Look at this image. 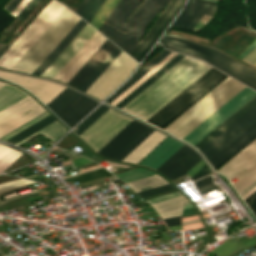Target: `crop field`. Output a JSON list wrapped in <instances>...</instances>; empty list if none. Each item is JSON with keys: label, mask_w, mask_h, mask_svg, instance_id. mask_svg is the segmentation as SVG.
<instances>
[{"label": "crop field", "mask_w": 256, "mask_h": 256, "mask_svg": "<svg viewBox=\"0 0 256 256\" xmlns=\"http://www.w3.org/2000/svg\"><path fill=\"white\" fill-rule=\"evenodd\" d=\"M211 67L185 56L122 110L146 121Z\"/></svg>", "instance_id": "crop-field-1"}, {"label": "crop field", "mask_w": 256, "mask_h": 256, "mask_svg": "<svg viewBox=\"0 0 256 256\" xmlns=\"http://www.w3.org/2000/svg\"><path fill=\"white\" fill-rule=\"evenodd\" d=\"M140 1L121 0L98 30L128 54L138 43L148 24L169 2L143 0L136 13L124 24Z\"/></svg>", "instance_id": "crop-field-2"}, {"label": "crop field", "mask_w": 256, "mask_h": 256, "mask_svg": "<svg viewBox=\"0 0 256 256\" xmlns=\"http://www.w3.org/2000/svg\"><path fill=\"white\" fill-rule=\"evenodd\" d=\"M245 87L228 77L164 130L182 139Z\"/></svg>", "instance_id": "crop-field-3"}, {"label": "crop field", "mask_w": 256, "mask_h": 256, "mask_svg": "<svg viewBox=\"0 0 256 256\" xmlns=\"http://www.w3.org/2000/svg\"><path fill=\"white\" fill-rule=\"evenodd\" d=\"M163 47L203 60L256 90V73L210 47L171 34L160 41Z\"/></svg>", "instance_id": "crop-field-4"}, {"label": "crop field", "mask_w": 256, "mask_h": 256, "mask_svg": "<svg viewBox=\"0 0 256 256\" xmlns=\"http://www.w3.org/2000/svg\"><path fill=\"white\" fill-rule=\"evenodd\" d=\"M80 19L66 8L12 69L31 74Z\"/></svg>", "instance_id": "crop-field-5"}, {"label": "crop field", "mask_w": 256, "mask_h": 256, "mask_svg": "<svg viewBox=\"0 0 256 256\" xmlns=\"http://www.w3.org/2000/svg\"><path fill=\"white\" fill-rule=\"evenodd\" d=\"M226 76L212 67L147 122L162 128Z\"/></svg>", "instance_id": "crop-field-6"}, {"label": "crop field", "mask_w": 256, "mask_h": 256, "mask_svg": "<svg viewBox=\"0 0 256 256\" xmlns=\"http://www.w3.org/2000/svg\"><path fill=\"white\" fill-rule=\"evenodd\" d=\"M66 7L54 0L43 9L22 35L0 57V66L12 68Z\"/></svg>", "instance_id": "crop-field-7"}, {"label": "crop field", "mask_w": 256, "mask_h": 256, "mask_svg": "<svg viewBox=\"0 0 256 256\" xmlns=\"http://www.w3.org/2000/svg\"><path fill=\"white\" fill-rule=\"evenodd\" d=\"M98 104L94 100L66 87L46 106L72 127Z\"/></svg>", "instance_id": "crop-field-8"}, {"label": "crop field", "mask_w": 256, "mask_h": 256, "mask_svg": "<svg viewBox=\"0 0 256 256\" xmlns=\"http://www.w3.org/2000/svg\"><path fill=\"white\" fill-rule=\"evenodd\" d=\"M131 121L109 108L79 137L97 152Z\"/></svg>", "instance_id": "crop-field-9"}, {"label": "crop field", "mask_w": 256, "mask_h": 256, "mask_svg": "<svg viewBox=\"0 0 256 256\" xmlns=\"http://www.w3.org/2000/svg\"><path fill=\"white\" fill-rule=\"evenodd\" d=\"M136 65L137 62L122 51L85 93L103 100L126 79Z\"/></svg>", "instance_id": "crop-field-10"}, {"label": "crop field", "mask_w": 256, "mask_h": 256, "mask_svg": "<svg viewBox=\"0 0 256 256\" xmlns=\"http://www.w3.org/2000/svg\"><path fill=\"white\" fill-rule=\"evenodd\" d=\"M255 94V91L246 87L223 107L216 111L212 116L205 120L201 125L189 133L185 138H183V140L194 145L217 125L224 121L228 116L235 112L239 107L251 99Z\"/></svg>", "instance_id": "crop-field-11"}, {"label": "crop field", "mask_w": 256, "mask_h": 256, "mask_svg": "<svg viewBox=\"0 0 256 256\" xmlns=\"http://www.w3.org/2000/svg\"><path fill=\"white\" fill-rule=\"evenodd\" d=\"M183 3L184 0H170L168 6L151 26L148 33L136 45V47L131 51L129 55L132 56L138 62H140V60L148 51V49L153 45V43L157 40V38L160 36V34L163 32L166 26L170 23V21L180 10Z\"/></svg>", "instance_id": "crop-field-12"}, {"label": "crop field", "mask_w": 256, "mask_h": 256, "mask_svg": "<svg viewBox=\"0 0 256 256\" xmlns=\"http://www.w3.org/2000/svg\"><path fill=\"white\" fill-rule=\"evenodd\" d=\"M255 121L256 105L249 109L245 114L233 122L229 127H227L199 151L208 160Z\"/></svg>", "instance_id": "crop-field-13"}, {"label": "crop field", "mask_w": 256, "mask_h": 256, "mask_svg": "<svg viewBox=\"0 0 256 256\" xmlns=\"http://www.w3.org/2000/svg\"><path fill=\"white\" fill-rule=\"evenodd\" d=\"M0 77L15 82L37 96L45 105L65 87L56 83L28 76L0 71ZM61 93V92H60Z\"/></svg>", "instance_id": "crop-field-14"}, {"label": "crop field", "mask_w": 256, "mask_h": 256, "mask_svg": "<svg viewBox=\"0 0 256 256\" xmlns=\"http://www.w3.org/2000/svg\"><path fill=\"white\" fill-rule=\"evenodd\" d=\"M214 6L215 3L212 2L189 0L185 10L176 19L173 26L191 29L206 12L213 14ZM208 13H206L200 20L207 22L212 17V14ZM203 24L205 23L198 21L192 29L197 30Z\"/></svg>", "instance_id": "crop-field-15"}, {"label": "crop field", "mask_w": 256, "mask_h": 256, "mask_svg": "<svg viewBox=\"0 0 256 256\" xmlns=\"http://www.w3.org/2000/svg\"><path fill=\"white\" fill-rule=\"evenodd\" d=\"M199 160L200 157L197 155V153L184 145L161 167H159L157 171L161 172L169 179H173L185 174Z\"/></svg>", "instance_id": "crop-field-16"}, {"label": "crop field", "mask_w": 256, "mask_h": 256, "mask_svg": "<svg viewBox=\"0 0 256 256\" xmlns=\"http://www.w3.org/2000/svg\"><path fill=\"white\" fill-rule=\"evenodd\" d=\"M254 166H256V140L217 170V172L224 174L230 181L234 177L241 178Z\"/></svg>", "instance_id": "crop-field-17"}, {"label": "crop field", "mask_w": 256, "mask_h": 256, "mask_svg": "<svg viewBox=\"0 0 256 256\" xmlns=\"http://www.w3.org/2000/svg\"><path fill=\"white\" fill-rule=\"evenodd\" d=\"M146 128L147 126L133 120L97 153L114 159Z\"/></svg>", "instance_id": "crop-field-18"}, {"label": "crop field", "mask_w": 256, "mask_h": 256, "mask_svg": "<svg viewBox=\"0 0 256 256\" xmlns=\"http://www.w3.org/2000/svg\"><path fill=\"white\" fill-rule=\"evenodd\" d=\"M95 31L87 24L41 76L53 79Z\"/></svg>", "instance_id": "crop-field-19"}, {"label": "crop field", "mask_w": 256, "mask_h": 256, "mask_svg": "<svg viewBox=\"0 0 256 256\" xmlns=\"http://www.w3.org/2000/svg\"><path fill=\"white\" fill-rule=\"evenodd\" d=\"M115 47L116 46L107 39L67 84L79 89Z\"/></svg>", "instance_id": "crop-field-20"}, {"label": "crop field", "mask_w": 256, "mask_h": 256, "mask_svg": "<svg viewBox=\"0 0 256 256\" xmlns=\"http://www.w3.org/2000/svg\"><path fill=\"white\" fill-rule=\"evenodd\" d=\"M256 137V122L252 124L248 129L236 137L232 142L220 150L208 161L213 166L214 170L218 168L222 163L229 159L233 154L240 150L244 145Z\"/></svg>", "instance_id": "crop-field-21"}, {"label": "crop field", "mask_w": 256, "mask_h": 256, "mask_svg": "<svg viewBox=\"0 0 256 256\" xmlns=\"http://www.w3.org/2000/svg\"><path fill=\"white\" fill-rule=\"evenodd\" d=\"M184 144L168 137L139 164L157 169Z\"/></svg>", "instance_id": "crop-field-22"}, {"label": "crop field", "mask_w": 256, "mask_h": 256, "mask_svg": "<svg viewBox=\"0 0 256 256\" xmlns=\"http://www.w3.org/2000/svg\"><path fill=\"white\" fill-rule=\"evenodd\" d=\"M165 137H166V135H164V134L155 130L151 135H149L139 146H137L122 161L137 164L143 157H145Z\"/></svg>", "instance_id": "crop-field-23"}, {"label": "crop field", "mask_w": 256, "mask_h": 256, "mask_svg": "<svg viewBox=\"0 0 256 256\" xmlns=\"http://www.w3.org/2000/svg\"><path fill=\"white\" fill-rule=\"evenodd\" d=\"M86 24L87 23L81 19L77 23V25L67 34V36L57 45V47L46 57V59L36 68V70L32 74L40 76Z\"/></svg>", "instance_id": "crop-field-24"}, {"label": "crop field", "mask_w": 256, "mask_h": 256, "mask_svg": "<svg viewBox=\"0 0 256 256\" xmlns=\"http://www.w3.org/2000/svg\"><path fill=\"white\" fill-rule=\"evenodd\" d=\"M31 97V96H30ZM29 96L0 112V127L39 105Z\"/></svg>", "instance_id": "crop-field-25"}, {"label": "crop field", "mask_w": 256, "mask_h": 256, "mask_svg": "<svg viewBox=\"0 0 256 256\" xmlns=\"http://www.w3.org/2000/svg\"><path fill=\"white\" fill-rule=\"evenodd\" d=\"M188 202L183 196L152 204L161 218L181 215L183 203Z\"/></svg>", "instance_id": "crop-field-26"}, {"label": "crop field", "mask_w": 256, "mask_h": 256, "mask_svg": "<svg viewBox=\"0 0 256 256\" xmlns=\"http://www.w3.org/2000/svg\"><path fill=\"white\" fill-rule=\"evenodd\" d=\"M106 39L107 38L100 34L97 39L88 47V49L80 56V58L72 65V67L63 75L60 81L67 83Z\"/></svg>", "instance_id": "crop-field-27"}, {"label": "crop field", "mask_w": 256, "mask_h": 256, "mask_svg": "<svg viewBox=\"0 0 256 256\" xmlns=\"http://www.w3.org/2000/svg\"><path fill=\"white\" fill-rule=\"evenodd\" d=\"M255 103H256V96L252 100H250L247 104H245L242 108H240L237 112H235L232 116H230L227 120H225L222 124H220L217 128H215L212 132H210L207 136H205L202 140H200L197 144H195L194 147L197 148L198 150L202 148L206 143H208L211 139H213L217 134H219L222 130H224L228 125H230L233 121H235L239 116H241L244 112H246Z\"/></svg>", "instance_id": "crop-field-28"}, {"label": "crop field", "mask_w": 256, "mask_h": 256, "mask_svg": "<svg viewBox=\"0 0 256 256\" xmlns=\"http://www.w3.org/2000/svg\"><path fill=\"white\" fill-rule=\"evenodd\" d=\"M184 55L178 54L171 61H169L165 66H163L159 71H157L153 76H151L147 81L140 85L136 90H134L130 95H128L124 100H122L116 107L122 108L128 102H130L134 97H136L140 92H142L146 87H148L152 82H154L158 77H160L164 72H166L170 67H172L176 62H178Z\"/></svg>", "instance_id": "crop-field-29"}, {"label": "crop field", "mask_w": 256, "mask_h": 256, "mask_svg": "<svg viewBox=\"0 0 256 256\" xmlns=\"http://www.w3.org/2000/svg\"><path fill=\"white\" fill-rule=\"evenodd\" d=\"M28 96L22 90L13 87L11 85H5L0 88V111L6 109L17 101L23 99Z\"/></svg>", "instance_id": "crop-field-30"}, {"label": "crop field", "mask_w": 256, "mask_h": 256, "mask_svg": "<svg viewBox=\"0 0 256 256\" xmlns=\"http://www.w3.org/2000/svg\"><path fill=\"white\" fill-rule=\"evenodd\" d=\"M43 112H45V110L40 105L35 107L34 109L30 110L29 112L0 128V137L11 132L12 130L16 129L17 127L28 122L29 120L33 119L34 117L40 115Z\"/></svg>", "instance_id": "crop-field-31"}, {"label": "crop field", "mask_w": 256, "mask_h": 256, "mask_svg": "<svg viewBox=\"0 0 256 256\" xmlns=\"http://www.w3.org/2000/svg\"><path fill=\"white\" fill-rule=\"evenodd\" d=\"M171 51L165 50L162 52L158 57H156L152 62H150L146 67H144L140 72H138L136 75L132 76L128 82L120 89L118 90L112 97H110L108 100H106L108 103L111 102L113 99H115L117 96H119L122 92H124L128 87H130L134 82H136L143 74H145L148 70H150L153 66H155L159 61H161L164 57H166Z\"/></svg>", "instance_id": "crop-field-32"}, {"label": "crop field", "mask_w": 256, "mask_h": 256, "mask_svg": "<svg viewBox=\"0 0 256 256\" xmlns=\"http://www.w3.org/2000/svg\"><path fill=\"white\" fill-rule=\"evenodd\" d=\"M56 121L51 115L44 118L43 120L35 123L34 125L28 127L27 129L21 131L20 133L12 136L11 138L7 139L6 141L11 142L13 144L21 141L22 139L28 137L29 135L35 133L36 131L42 129L43 127L49 125L50 123Z\"/></svg>", "instance_id": "crop-field-33"}, {"label": "crop field", "mask_w": 256, "mask_h": 256, "mask_svg": "<svg viewBox=\"0 0 256 256\" xmlns=\"http://www.w3.org/2000/svg\"><path fill=\"white\" fill-rule=\"evenodd\" d=\"M177 53L172 52L164 60H162L158 65H156L152 70H150L146 75L139 79L135 84H133L129 89H127L123 94H121L117 99H115L111 104L114 106L124 99L128 94H130L134 89H136L140 84H142L146 79L153 75L157 70H159L163 65H165L169 60H171Z\"/></svg>", "instance_id": "crop-field-34"}, {"label": "crop field", "mask_w": 256, "mask_h": 256, "mask_svg": "<svg viewBox=\"0 0 256 256\" xmlns=\"http://www.w3.org/2000/svg\"><path fill=\"white\" fill-rule=\"evenodd\" d=\"M167 183H168L167 181L155 175V176H151L148 178H144V179L133 181L126 184L129 185L133 190L138 192V191H142L145 189H149V188L160 186Z\"/></svg>", "instance_id": "crop-field-35"}, {"label": "crop field", "mask_w": 256, "mask_h": 256, "mask_svg": "<svg viewBox=\"0 0 256 256\" xmlns=\"http://www.w3.org/2000/svg\"><path fill=\"white\" fill-rule=\"evenodd\" d=\"M121 51L122 50L116 47L113 52L106 58V60L98 67V69L90 76V78L83 84V86L81 85L82 87L80 90L85 92Z\"/></svg>", "instance_id": "crop-field-36"}, {"label": "crop field", "mask_w": 256, "mask_h": 256, "mask_svg": "<svg viewBox=\"0 0 256 256\" xmlns=\"http://www.w3.org/2000/svg\"><path fill=\"white\" fill-rule=\"evenodd\" d=\"M17 151L3 145L0 146V173L21 155L20 151Z\"/></svg>", "instance_id": "crop-field-37"}, {"label": "crop field", "mask_w": 256, "mask_h": 256, "mask_svg": "<svg viewBox=\"0 0 256 256\" xmlns=\"http://www.w3.org/2000/svg\"><path fill=\"white\" fill-rule=\"evenodd\" d=\"M109 175H112V174L109 173L107 170L100 168V169H96V170H92V171H89L86 173L79 174V175L71 177V178L64 179V181L67 182V181L73 180V182L78 181L79 183H84V182H88V181L95 180V179L109 176Z\"/></svg>", "instance_id": "crop-field-38"}, {"label": "crop field", "mask_w": 256, "mask_h": 256, "mask_svg": "<svg viewBox=\"0 0 256 256\" xmlns=\"http://www.w3.org/2000/svg\"><path fill=\"white\" fill-rule=\"evenodd\" d=\"M66 130L56 121L49 126L43 128L42 130L36 132L35 134L29 136L28 138L22 140L21 142L17 143V145L25 142L26 140L30 139L31 137L41 133L53 140H56L58 137H60L63 133H65Z\"/></svg>", "instance_id": "crop-field-39"}, {"label": "crop field", "mask_w": 256, "mask_h": 256, "mask_svg": "<svg viewBox=\"0 0 256 256\" xmlns=\"http://www.w3.org/2000/svg\"><path fill=\"white\" fill-rule=\"evenodd\" d=\"M115 175L119 177L124 183H126V182H130L133 180H137V179L148 177L155 174L151 171L137 168L130 171L115 174Z\"/></svg>", "instance_id": "crop-field-40"}, {"label": "crop field", "mask_w": 256, "mask_h": 256, "mask_svg": "<svg viewBox=\"0 0 256 256\" xmlns=\"http://www.w3.org/2000/svg\"><path fill=\"white\" fill-rule=\"evenodd\" d=\"M105 1L106 0H90L79 16L89 23Z\"/></svg>", "instance_id": "crop-field-41"}, {"label": "crop field", "mask_w": 256, "mask_h": 256, "mask_svg": "<svg viewBox=\"0 0 256 256\" xmlns=\"http://www.w3.org/2000/svg\"><path fill=\"white\" fill-rule=\"evenodd\" d=\"M97 31L93 34V36L84 44V46L75 54V56L66 64V66L57 74L54 78L55 80H59L62 75L71 67V65L79 58V56L87 49V47L96 39L99 35Z\"/></svg>", "instance_id": "crop-field-42"}, {"label": "crop field", "mask_w": 256, "mask_h": 256, "mask_svg": "<svg viewBox=\"0 0 256 256\" xmlns=\"http://www.w3.org/2000/svg\"><path fill=\"white\" fill-rule=\"evenodd\" d=\"M154 130L147 128L140 136H138L123 152H121L115 160L121 161L125 156H127L137 145H139L149 134Z\"/></svg>", "instance_id": "crop-field-43"}, {"label": "crop field", "mask_w": 256, "mask_h": 256, "mask_svg": "<svg viewBox=\"0 0 256 256\" xmlns=\"http://www.w3.org/2000/svg\"><path fill=\"white\" fill-rule=\"evenodd\" d=\"M107 109H108V107H106L104 105H102L99 109H97L91 116H89L82 124H80L77 127V129L75 131L77 133V135L79 136L85 129H87Z\"/></svg>", "instance_id": "crop-field-44"}, {"label": "crop field", "mask_w": 256, "mask_h": 256, "mask_svg": "<svg viewBox=\"0 0 256 256\" xmlns=\"http://www.w3.org/2000/svg\"><path fill=\"white\" fill-rule=\"evenodd\" d=\"M255 180H256V167L252 171H250L247 175H245L242 179H240L233 186L239 194L245 188H247L251 183H253Z\"/></svg>", "instance_id": "crop-field-45"}, {"label": "crop field", "mask_w": 256, "mask_h": 256, "mask_svg": "<svg viewBox=\"0 0 256 256\" xmlns=\"http://www.w3.org/2000/svg\"><path fill=\"white\" fill-rule=\"evenodd\" d=\"M194 184L198 188L199 192H201V194L218 188L213 184L212 176H206L205 178L196 181Z\"/></svg>", "instance_id": "crop-field-46"}, {"label": "crop field", "mask_w": 256, "mask_h": 256, "mask_svg": "<svg viewBox=\"0 0 256 256\" xmlns=\"http://www.w3.org/2000/svg\"><path fill=\"white\" fill-rule=\"evenodd\" d=\"M171 189H174V188L171 185L167 184V185H163V186L156 187V188H153V189H149V190H145V191H142V192H138V194L142 198H144V197L151 196V195H154V194H157V193H161V192H164V191H167V190H171Z\"/></svg>", "instance_id": "crop-field-47"}, {"label": "crop field", "mask_w": 256, "mask_h": 256, "mask_svg": "<svg viewBox=\"0 0 256 256\" xmlns=\"http://www.w3.org/2000/svg\"><path fill=\"white\" fill-rule=\"evenodd\" d=\"M48 115H50V114H48L47 112L44 113V114H42V115H40L39 117L33 119L32 121L26 123L25 125L21 126L20 128H18V129H16V130H14L13 132L7 134L6 136L2 137L1 139L5 140V139L11 137L12 135H14V134L20 132L21 130L27 128L28 126L34 124L35 122H37V121L43 119L44 117H46V116H48Z\"/></svg>", "instance_id": "crop-field-48"}, {"label": "crop field", "mask_w": 256, "mask_h": 256, "mask_svg": "<svg viewBox=\"0 0 256 256\" xmlns=\"http://www.w3.org/2000/svg\"><path fill=\"white\" fill-rule=\"evenodd\" d=\"M30 183H34V182L24 180V179H20V180L8 182V183L0 184V192L3 191V190H6V189H10V188H13V187L26 185V184H30Z\"/></svg>", "instance_id": "crop-field-49"}, {"label": "crop field", "mask_w": 256, "mask_h": 256, "mask_svg": "<svg viewBox=\"0 0 256 256\" xmlns=\"http://www.w3.org/2000/svg\"><path fill=\"white\" fill-rule=\"evenodd\" d=\"M41 0H31L28 5L20 12L17 18L24 20L26 16L34 9V7L40 2Z\"/></svg>", "instance_id": "crop-field-50"}, {"label": "crop field", "mask_w": 256, "mask_h": 256, "mask_svg": "<svg viewBox=\"0 0 256 256\" xmlns=\"http://www.w3.org/2000/svg\"><path fill=\"white\" fill-rule=\"evenodd\" d=\"M113 1L114 0H107L89 24L94 27L95 24L98 22V20L101 18V16L104 14V12L108 9V7L111 5Z\"/></svg>", "instance_id": "crop-field-51"}, {"label": "crop field", "mask_w": 256, "mask_h": 256, "mask_svg": "<svg viewBox=\"0 0 256 256\" xmlns=\"http://www.w3.org/2000/svg\"><path fill=\"white\" fill-rule=\"evenodd\" d=\"M244 201L248 205V207L251 209V211L254 213V215L256 216V191L253 194H251Z\"/></svg>", "instance_id": "crop-field-52"}, {"label": "crop field", "mask_w": 256, "mask_h": 256, "mask_svg": "<svg viewBox=\"0 0 256 256\" xmlns=\"http://www.w3.org/2000/svg\"><path fill=\"white\" fill-rule=\"evenodd\" d=\"M120 0H115L112 5L109 7V9L105 12V14L102 16V18L99 20V22L96 24V26L94 28H96L97 30L99 29V27L102 25V23L105 21V19L108 17V15L111 13V11L114 9V7L117 5V3Z\"/></svg>", "instance_id": "crop-field-53"}, {"label": "crop field", "mask_w": 256, "mask_h": 256, "mask_svg": "<svg viewBox=\"0 0 256 256\" xmlns=\"http://www.w3.org/2000/svg\"><path fill=\"white\" fill-rule=\"evenodd\" d=\"M177 196H181V194L179 192H177V193L169 194V195H166V196L158 197V198L147 200V201L150 204H152V203H156V202L163 201V200H166V199L174 198V197H177Z\"/></svg>", "instance_id": "crop-field-54"}, {"label": "crop field", "mask_w": 256, "mask_h": 256, "mask_svg": "<svg viewBox=\"0 0 256 256\" xmlns=\"http://www.w3.org/2000/svg\"><path fill=\"white\" fill-rule=\"evenodd\" d=\"M205 165L204 161L201 160L198 164H196L190 171L187 173L189 174L190 178L199 171Z\"/></svg>", "instance_id": "crop-field-55"}, {"label": "crop field", "mask_w": 256, "mask_h": 256, "mask_svg": "<svg viewBox=\"0 0 256 256\" xmlns=\"http://www.w3.org/2000/svg\"><path fill=\"white\" fill-rule=\"evenodd\" d=\"M255 57H256V47L243 60L250 63ZM255 62H256V58L250 64L253 65Z\"/></svg>", "instance_id": "crop-field-56"}, {"label": "crop field", "mask_w": 256, "mask_h": 256, "mask_svg": "<svg viewBox=\"0 0 256 256\" xmlns=\"http://www.w3.org/2000/svg\"><path fill=\"white\" fill-rule=\"evenodd\" d=\"M164 221L166 222L167 226L178 225L181 224V216L165 219Z\"/></svg>", "instance_id": "crop-field-57"}, {"label": "crop field", "mask_w": 256, "mask_h": 256, "mask_svg": "<svg viewBox=\"0 0 256 256\" xmlns=\"http://www.w3.org/2000/svg\"><path fill=\"white\" fill-rule=\"evenodd\" d=\"M20 2L21 0H10L6 7L4 6V9H6L8 12H11Z\"/></svg>", "instance_id": "crop-field-58"}, {"label": "crop field", "mask_w": 256, "mask_h": 256, "mask_svg": "<svg viewBox=\"0 0 256 256\" xmlns=\"http://www.w3.org/2000/svg\"><path fill=\"white\" fill-rule=\"evenodd\" d=\"M208 174V172H207V170H206V168H205V166L199 171V172H197L191 179H192V181H195V180H197V179H199V178H201V177H203V176H205V175H207Z\"/></svg>", "instance_id": "crop-field-59"}, {"label": "crop field", "mask_w": 256, "mask_h": 256, "mask_svg": "<svg viewBox=\"0 0 256 256\" xmlns=\"http://www.w3.org/2000/svg\"><path fill=\"white\" fill-rule=\"evenodd\" d=\"M30 0H23L16 9L11 13L14 17L20 12V10L29 2Z\"/></svg>", "instance_id": "crop-field-60"}, {"label": "crop field", "mask_w": 256, "mask_h": 256, "mask_svg": "<svg viewBox=\"0 0 256 256\" xmlns=\"http://www.w3.org/2000/svg\"><path fill=\"white\" fill-rule=\"evenodd\" d=\"M16 40L14 38L8 45L0 44V56L11 46V44Z\"/></svg>", "instance_id": "crop-field-61"}, {"label": "crop field", "mask_w": 256, "mask_h": 256, "mask_svg": "<svg viewBox=\"0 0 256 256\" xmlns=\"http://www.w3.org/2000/svg\"><path fill=\"white\" fill-rule=\"evenodd\" d=\"M89 0H84L83 3L80 5V7L77 9V11L75 13H77L79 15V13L82 11V9L84 8V6L87 4Z\"/></svg>", "instance_id": "crop-field-62"}, {"label": "crop field", "mask_w": 256, "mask_h": 256, "mask_svg": "<svg viewBox=\"0 0 256 256\" xmlns=\"http://www.w3.org/2000/svg\"><path fill=\"white\" fill-rule=\"evenodd\" d=\"M169 230H181V225L168 227Z\"/></svg>", "instance_id": "crop-field-63"}, {"label": "crop field", "mask_w": 256, "mask_h": 256, "mask_svg": "<svg viewBox=\"0 0 256 256\" xmlns=\"http://www.w3.org/2000/svg\"><path fill=\"white\" fill-rule=\"evenodd\" d=\"M256 190V187H254L251 191H249L245 196H243V200L247 198L251 193H253Z\"/></svg>", "instance_id": "crop-field-64"}, {"label": "crop field", "mask_w": 256, "mask_h": 256, "mask_svg": "<svg viewBox=\"0 0 256 256\" xmlns=\"http://www.w3.org/2000/svg\"><path fill=\"white\" fill-rule=\"evenodd\" d=\"M5 84H6V83L0 82V87L3 86V85H5Z\"/></svg>", "instance_id": "crop-field-65"}, {"label": "crop field", "mask_w": 256, "mask_h": 256, "mask_svg": "<svg viewBox=\"0 0 256 256\" xmlns=\"http://www.w3.org/2000/svg\"><path fill=\"white\" fill-rule=\"evenodd\" d=\"M254 66H256V63L254 64Z\"/></svg>", "instance_id": "crop-field-66"}]
</instances>
